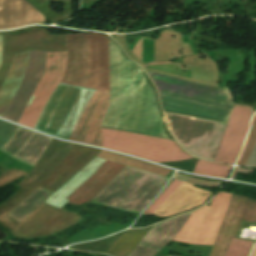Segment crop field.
<instances>
[{"label": "crop field", "instance_id": "crop-field-1", "mask_svg": "<svg viewBox=\"0 0 256 256\" xmlns=\"http://www.w3.org/2000/svg\"><path fill=\"white\" fill-rule=\"evenodd\" d=\"M64 78L93 86L58 137L102 147L99 127L109 97L107 37L90 33L67 35Z\"/></svg>", "mask_w": 256, "mask_h": 256}, {"label": "crop field", "instance_id": "crop-field-2", "mask_svg": "<svg viewBox=\"0 0 256 256\" xmlns=\"http://www.w3.org/2000/svg\"><path fill=\"white\" fill-rule=\"evenodd\" d=\"M103 147L154 162L190 159L173 141L102 129Z\"/></svg>", "mask_w": 256, "mask_h": 256}, {"label": "crop field", "instance_id": "crop-field-3", "mask_svg": "<svg viewBox=\"0 0 256 256\" xmlns=\"http://www.w3.org/2000/svg\"><path fill=\"white\" fill-rule=\"evenodd\" d=\"M230 196L228 193H218L213 197L210 207L205 206L193 212L174 240L213 245Z\"/></svg>", "mask_w": 256, "mask_h": 256}, {"label": "crop field", "instance_id": "crop-field-4", "mask_svg": "<svg viewBox=\"0 0 256 256\" xmlns=\"http://www.w3.org/2000/svg\"><path fill=\"white\" fill-rule=\"evenodd\" d=\"M48 53L46 69L19 124L34 128L66 69V52Z\"/></svg>", "mask_w": 256, "mask_h": 256}, {"label": "crop field", "instance_id": "crop-field-5", "mask_svg": "<svg viewBox=\"0 0 256 256\" xmlns=\"http://www.w3.org/2000/svg\"><path fill=\"white\" fill-rule=\"evenodd\" d=\"M252 111L234 107L214 161L234 164L243 145Z\"/></svg>", "mask_w": 256, "mask_h": 256}, {"label": "crop field", "instance_id": "crop-field-6", "mask_svg": "<svg viewBox=\"0 0 256 256\" xmlns=\"http://www.w3.org/2000/svg\"><path fill=\"white\" fill-rule=\"evenodd\" d=\"M209 195L204 190L182 182L174 193L154 212V215L170 217L179 212L198 207Z\"/></svg>", "mask_w": 256, "mask_h": 256}, {"label": "crop field", "instance_id": "crop-field-7", "mask_svg": "<svg viewBox=\"0 0 256 256\" xmlns=\"http://www.w3.org/2000/svg\"><path fill=\"white\" fill-rule=\"evenodd\" d=\"M45 17L25 0H0V29L43 22Z\"/></svg>", "mask_w": 256, "mask_h": 256}, {"label": "crop field", "instance_id": "crop-field-8", "mask_svg": "<svg viewBox=\"0 0 256 256\" xmlns=\"http://www.w3.org/2000/svg\"><path fill=\"white\" fill-rule=\"evenodd\" d=\"M125 166L107 161L100 169L67 199L81 205L90 202Z\"/></svg>", "mask_w": 256, "mask_h": 256}, {"label": "crop field", "instance_id": "crop-field-9", "mask_svg": "<svg viewBox=\"0 0 256 256\" xmlns=\"http://www.w3.org/2000/svg\"><path fill=\"white\" fill-rule=\"evenodd\" d=\"M30 53L31 51L14 54L10 72L0 88V116H2L28 67Z\"/></svg>", "mask_w": 256, "mask_h": 256}, {"label": "crop field", "instance_id": "crop-field-10", "mask_svg": "<svg viewBox=\"0 0 256 256\" xmlns=\"http://www.w3.org/2000/svg\"><path fill=\"white\" fill-rule=\"evenodd\" d=\"M98 157L113 161V162H117L120 164H124L127 166H131V167H135V168H139V169H143L152 173H156L159 175L164 176L165 174H167L169 172V170L167 168H163L157 165H153L147 162H143L134 158H130V157H126V156H122L119 154H115V153H111L108 151H104L102 150L100 152V154L98 155Z\"/></svg>", "mask_w": 256, "mask_h": 256}, {"label": "crop field", "instance_id": "crop-field-11", "mask_svg": "<svg viewBox=\"0 0 256 256\" xmlns=\"http://www.w3.org/2000/svg\"><path fill=\"white\" fill-rule=\"evenodd\" d=\"M229 169V166L199 160L193 173L211 177L227 178Z\"/></svg>", "mask_w": 256, "mask_h": 256}, {"label": "crop field", "instance_id": "crop-field-12", "mask_svg": "<svg viewBox=\"0 0 256 256\" xmlns=\"http://www.w3.org/2000/svg\"><path fill=\"white\" fill-rule=\"evenodd\" d=\"M253 242L232 239L226 256H248Z\"/></svg>", "mask_w": 256, "mask_h": 256}, {"label": "crop field", "instance_id": "crop-field-13", "mask_svg": "<svg viewBox=\"0 0 256 256\" xmlns=\"http://www.w3.org/2000/svg\"><path fill=\"white\" fill-rule=\"evenodd\" d=\"M255 142H256V117H254V119H253L249 138H248L247 144L245 146V149L242 153V156L239 160L238 165H242V166L244 165L245 161L247 160L248 156L250 155V153L254 147Z\"/></svg>", "mask_w": 256, "mask_h": 256}, {"label": "crop field", "instance_id": "crop-field-14", "mask_svg": "<svg viewBox=\"0 0 256 256\" xmlns=\"http://www.w3.org/2000/svg\"><path fill=\"white\" fill-rule=\"evenodd\" d=\"M180 183V181L174 180L144 214L151 215L173 193Z\"/></svg>", "mask_w": 256, "mask_h": 256}, {"label": "crop field", "instance_id": "crop-field-15", "mask_svg": "<svg viewBox=\"0 0 256 256\" xmlns=\"http://www.w3.org/2000/svg\"><path fill=\"white\" fill-rule=\"evenodd\" d=\"M251 256H256V246H255Z\"/></svg>", "mask_w": 256, "mask_h": 256}]
</instances>
